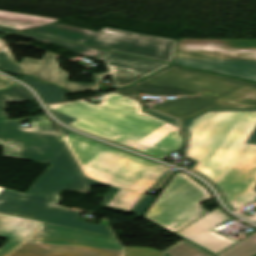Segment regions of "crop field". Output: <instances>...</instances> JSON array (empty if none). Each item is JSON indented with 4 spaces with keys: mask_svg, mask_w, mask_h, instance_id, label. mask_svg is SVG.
<instances>
[{
    "mask_svg": "<svg viewBox=\"0 0 256 256\" xmlns=\"http://www.w3.org/2000/svg\"><path fill=\"white\" fill-rule=\"evenodd\" d=\"M62 189L90 190L67 148L25 194L4 189L0 193V213L116 238L109 227L76 220L77 212L56 206Z\"/></svg>",
    "mask_w": 256,
    "mask_h": 256,
    "instance_id": "crop-field-3",
    "label": "crop field"
},
{
    "mask_svg": "<svg viewBox=\"0 0 256 256\" xmlns=\"http://www.w3.org/2000/svg\"><path fill=\"white\" fill-rule=\"evenodd\" d=\"M237 214H239V215H241V216H243V217H246V218H248V219H250V220L256 222V213H255L254 215L250 216V217H248V216H246V215H244V214H242V213H240V212H237Z\"/></svg>",
    "mask_w": 256,
    "mask_h": 256,
    "instance_id": "crop-field-28",
    "label": "crop field"
},
{
    "mask_svg": "<svg viewBox=\"0 0 256 256\" xmlns=\"http://www.w3.org/2000/svg\"><path fill=\"white\" fill-rule=\"evenodd\" d=\"M188 168L221 194L230 210L256 202V110H211L182 121Z\"/></svg>",
    "mask_w": 256,
    "mask_h": 256,
    "instance_id": "crop-field-1",
    "label": "crop field"
},
{
    "mask_svg": "<svg viewBox=\"0 0 256 256\" xmlns=\"http://www.w3.org/2000/svg\"><path fill=\"white\" fill-rule=\"evenodd\" d=\"M58 134L89 186H112L103 197L105 209L130 212L149 189L158 187L169 167L107 146L59 126Z\"/></svg>",
    "mask_w": 256,
    "mask_h": 256,
    "instance_id": "crop-field-2",
    "label": "crop field"
},
{
    "mask_svg": "<svg viewBox=\"0 0 256 256\" xmlns=\"http://www.w3.org/2000/svg\"><path fill=\"white\" fill-rule=\"evenodd\" d=\"M161 253L163 256H210L183 241Z\"/></svg>",
    "mask_w": 256,
    "mask_h": 256,
    "instance_id": "crop-field-22",
    "label": "crop field"
},
{
    "mask_svg": "<svg viewBox=\"0 0 256 256\" xmlns=\"http://www.w3.org/2000/svg\"><path fill=\"white\" fill-rule=\"evenodd\" d=\"M174 63L256 81V40L179 39Z\"/></svg>",
    "mask_w": 256,
    "mask_h": 256,
    "instance_id": "crop-field-5",
    "label": "crop field"
},
{
    "mask_svg": "<svg viewBox=\"0 0 256 256\" xmlns=\"http://www.w3.org/2000/svg\"><path fill=\"white\" fill-rule=\"evenodd\" d=\"M229 220L231 218L218 207L175 235L216 256L240 242L212 230Z\"/></svg>",
    "mask_w": 256,
    "mask_h": 256,
    "instance_id": "crop-field-12",
    "label": "crop field"
},
{
    "mask_svg": "<svg viewBox=\"0 0 256 256\" xmlns=\"http://www.w3.org/2000/svg\"><path fill=\"white\" fill-rule=\"evenodd\" d=\"M51 111L61 121L70 126L161 160L184 146L183 137L179 133L178 121L160 126L153 133L137 142L55 110Z\"/></svg>",
    "mask_w": 256,
    "mask_h": 256,
    "instance_id": "crop-field-11",
    "label": "crop field"
},
{
    "mask_svg": "<svg viewBox=\"0 0 256 256\" xmlns=\"http://www.w3.org/2000/svg\"><path fill=\"white\" fill-rule=\"evenodd\" d=\"M53 21L57 20L0 11V26L17 30H23L25 28L31 29Z\"/></svg>",
    "mask_w": 256,
    "mask_h": 256,
    "instance_id": "crop-field-17",
    "label": "crop field"
},
{
    "mask_svg": "<svg viewBox=\"0 0 256 256\" xmlns=\"http://www.w3.org/2000/svg\"><path fill=\"white\" fill-rule=\"evenodd\" d=\"M126 256H162L159 250L152 248L127 247Z\"/></svg>",
    "mask_w": 256,
    "mask_h": 256,
    "instance_id": "crop-field-24",
    "label": "crop field"
},
{
    "mask_svg": "<svg viewBox=\"0 0 256 256\" xmlns=\"http://www.w3.org/2000/svg\"><path fill=\"white\" fill-rule=\"evenodd\" d=\"M119 239L43 223L6 256H124Z\"/></svg>",
    "mask_w": 256,
    "mask_h": 256,
    "instance_id": "crop-field-6",
    "label": "crop field"
},
{
    "mask_svg": "<svg viewBox=\"0 0 256 256\" xmlns=\"http://www.w3.org/2000/svg\"><path fill=\"white\" fill-rule=\"evenodd\" d=\"M99 60L105 62L109 73L93 74L94 79L102 82L104 76L111 75L116 88L129 85L167 66V64L146 61L111 52H108Z\"/></svg>",
    "mask_w": 256,
    "mask_h": 256,
    "instance_id": "crop-field-13",
    "label": "crop field"
},
{
    "mask_svg": "<svg viewBox=\"0 0 256 256\" xmlns=\"http://www.w3.org/2000/svg\"><path fill=\"white\" fill-rule=\"evenodd\" d=\"M12 83L14 82L0 75V89L6 88Z\"/></svg>",
    "mask_w": 256,
    "mask_h": 256,
    "instance_id": "crop-field-27",
    "label": "crop field"
},
{
    "mask_svg": "<svg viewBox=\"0 0 256 256\" xmlns=\"http://www.w3.org/2000/svg\"><path fill=\"white\" fill-rule=\"evenodd\" d=\"M153 200L154 198L145 196L143 200L138 204V206L132 212L136 213L135 216L143 215L144 211L147 209V207L151 204Z\"/></svg>",
    "mask_w": 256,
    "mask_h": 256,
    "instance_id": "crop-field-25",
    "label": "crop field"
},
{
    "mask_svg": "<svg viewBox=\"0 0 256 256\" xmlns=\"http://www.w3.org/2000/svg\"><path fill=\"white\" fill-rule=\"evenodd\" d=\"M57 56L46 53L41 61L23 58L19 63L24 74L37 77L41 81L54 83L72 93L85 90L97 92L101 82L95 81L94 84L67 81L69 74L60 70L57 65Z\"/></svg>",
    "mask_w": 256,
    "mask_h": 256,
    "instance_id": "crop-field-14",
    "label": "crop field"
},
{
    "mask_svg": "<svg viewBox=\"0 0 256 256\" xmlns=\"http://www.w3.org/2000/svg\"><path fill=\"white\" fill-rule=\"evenodd\" d=\"M3 190V188H0V192Z\"/></svg>",
    "mask_w": 256,
    "mask_h": 256,
    "instance_id": "crop-field-30",
    "label": "crop field"
},
{
    "mask_svg": "<svg viewBox=\"0 0 256 256\" xmlns=\"http://www.w3.org/2000/svg\"><path fill=\"white\" fill-rule=\"evenodd\" d=\"M144 114H147V115H149V116L155 117V118L160 119V120H163V121H165V122L175 121V119H173V118H170V117L165 116V115H163V114L157 113V112L152 111V110H150V109H147V110L144 112Z\"/></svg>",
    "mask_w": 256,
    "mask_h": 256,
    "instance_id": "crop-field-26",
    "label": "crop field"
},
{
    "mask_svg": "<svg viewBox=\"0 0 256 256\" xmlns=\"http://www.w3.org/2000/svg\"><path fill=\"white\" fill-rule=\"evenodd\" d=\"M85 100L52 105L49 108L137 141L165 123L142 114L139 102L117 93L104 95L102 104L98 105H91Z\"/></svg>",
    "mask_w": 256,
    "mask_h": 256,
    "instance_id": "crop-field-7",
    "label": "crop field"
},
{
    "mask_svg": "<svg viewBox=\"0 0 256 256\" xmlns=\"http://www.w3.org/2000/svg\"><path fill=\"white\" fill-rule=\"evenodd\" d=\"M0 32L12 34V33H15L16 31H12V30H7V29L0 28ZM2 44H3V42L0 40V46H1Z\"/></svg>",
    "mask_w": 256,
    "mask_h": 256,
    "instance_id": "crop-field-29",
    "label": "crop field"
},
{
    "mask_svg": "<svg viewBox=\"0 0 256 256\" xmlns=\"http://www.w3.org/2000/svg\"><path fill=\"white\" fill-rule=\"evenodd\" d=\"M28 32L171 63L175 41L103 28L100 32L53 23Z\"/></svg>",
    "mask_w": 256,
    "mask_h": 256,
    "instance_id": "crop-field-8",
    "label": "crop field"
},
{
    "mask_svg": "<svg viewBox=\"0 0 256 256\" xmlns=\"http://www.w3.org/2000/svg\"><path fill=\"white\" fill-rule=\"evenodd\" d=\"M215 99V97H202L164 100V103L159 106L158 111L182 119L197 115L208 108L256 107V105L235 106Z\"/></svg>",
    "mask_w": 256,
    "mask_h": 256,
    "instance_id": "crop-field-15",
    "label": "crop field"
},
{
    "mask_svg": "<svg viewBox=\"0 0 256 256\" xmlns=\"http://www.w3.org/2000/svg\"><path fill=\"white\" fill-rule=\"evenodd\" d=\"M11 87V86H10ZM34 99L27 90L15 83L0 90V145L4 156L51 164L66 148L46 116L34 117L31 128L20 129V122L10 121L5 113V102Z\"/></svg>",
    "mask_w": 256,
    "mask_h": 256,
    "instance_id": "crop-field-4",
    "label": "crop field"
},
{
    "mask_svg": "<svg viewBox=\"0 0 256 256\" xmlns=\"http://www.w3.org/2000/svg\"><path fill=\"white\" fill-rule=\"evenodd\" d=\"M256 256V255H255Z\"/></svg>",
    "mask_w": 256,
    "mask_h": 256,
    "instance_id": "crop-field-31",
    "label": "crop field"
},
{
    "mask_svg": "<svg viewBox=\"0 0 256 256\" xmlns=\"http://www.w3.org/2000/svg\"><path fill=\"white\" fill-rule=\"evenodd\" d=\"M210 198L204 187L188 175L177 173L144 218L175 234L208 213L200 205Z\"/></svg>",
    "mask_w": 256,
    "mask_h": 256,
    "instance_id": "crop-field-9",
    "label": "crop field"
},
{
    "mask_svg": "<svg viewBox=\"0 0 256 256\" xmlns=\"http://www.w3.org/2000/svg\"><path fill=\"white\" fill-rule=\"evenodd\" d=\"M16 36L29 38V39H33V40H37V41H41V42H46V43H50V44H54V45H58V46H62V47L68 48L70 50H73L77 53H80L82 55H85L89 58H92L94 60L100 58L102 55L107 53L106 51H100V50H96V49H92V48H87V47H83V46H78V45H74V44L60 42V41L47 39V38H43V37H38V36H34V35H29V34H25V33H21V34H18Z\"/></svg>",
    "mask_w": 256,
    "mask_h": 256,
    "instance_id": "crop-field-19",
    "label": "crop field"
},
{
    "mask_svg": "<svg viewBox=\"0 0 256 256\" xmlns=\"http://www.w3.org/2000/svg\"><path fill=\"white\" fill-rule=\"evenodd\" d=\"M41 224V222L0 214V236L10 240L0 249V256L9 253Z\"/></svg>",
    "mask_w": 256,
    "mask_h": 256,
    "instance_id": "crop-field-16",
    "label": "crop field"
},
{
    "mask_svg": "<svg viewBox=\"0 0 256 256\" xmlns=\"http://www.w3.org/2000/svg\"><path fill=\"white\" fill-rule=\"evenodd\" d=\"M256 254V233L218 256H253Z\"/></svg>",
    "mask_w": 256,
    "mask_h": 256,
    "instance_id": "crop-field-21",
    "label": "crop field"
},
{
    "mask_svg": "<svg viewBox=\"0 0 256 256\" xmlns=\"http://www.w3.org/2000/svg\"><path fill=\"white\" fill-rule=\"evenodd\" d=\"M20 80L32 86L42 96L46 104L65 101L64 95L70 94L54 85L40 83L31 76H25Z\"/></svg>",
    "mask_w": 256,
    "mask_h": 256,
    "instance_id": "crop-field-18",
    "label": "crop field"
},
{
    "mask_svg": "<svg viewBox=\"0 0 256 256\" xmlns=\"http://www.w3.org/2000/svg\"><path fill=\"white\" fill-rule=\"evenodd\" d=\"M137 85L184 88L188 92H209L217 100L235 105L256 104V84L172 66Z\"/></svg>",
    "mask_w": 256,
    "mask_h": 256,
    "instance_id": "crop-field-10",
    "label": "crop field"
},
{
    "mask_svg": "<svg viewBox=\"0 0 256 256\" xmlns=\"http://www.w3.org/2000/svg\"><path fill=\"white\" fill-rule=\"evenodd\" d=\"M117 91L135 99H138L137 92L152 94V95H188V93L183 92L182 90L151 88V87H143V86H137V85L123 88Z\"/></svg>",
    "mask_w": 256,
    "mask_h": 256,
    "instance_id": "crop-field-20",
    "label": "crop field"
},
{
    "mask_svg": "<svg viewBox=\"0 0 256 256\" xmlns=\"http://www.w3.org/2000/svg\"><path fill=\"white\" fill-rule=\"evenodd\" d=\"M0 68L7 72L24 75L8 45L0 50Z\"/></svg>",
    "mask_w": 256,
    "mask_h": 256,
    "instance_id": "crop-field-23",
    "label": "crop field"
}]
</instances>
